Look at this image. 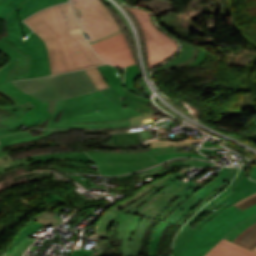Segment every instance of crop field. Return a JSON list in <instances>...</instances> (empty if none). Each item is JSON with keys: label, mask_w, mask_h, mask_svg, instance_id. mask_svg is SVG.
<instances>
[{"label": "crop field", "mask_w": 256, "mask_h": 256, "mask_svg": "<svg viewBox=\"0 0 256 256\" xmlns=\"http://www.w3.org/2000/svg\"><path fill=\"white\" fill-rule=\"evenodd\" d=\"M24 21L46 42L52 74L105 64L83 37L69 2L41 10Z\"/></svg>", "instance_id": "obj_1"}, {"label": "crop field", "mask_w": 256, "mask_h": 256, "mask_svg": "<svg viewBox=\"0 0 256 256\" xmlns=\"http://www.w3.org/2000/svg\"><path fill=\"white\" fill-rule=\"evenodd\" d=\"M238 168H222L200 184L176 177L131 210V214L183 226L186 221L233 180Z\"/></svg>", "instance_id": "obj_2"}, {"label": "crop field", "mask_w": 256, "mask_h": 256, "mask_svg": "<svg viewBox=\"0 0 256 256\" xmlns=\"http://www.w3.org/2000/svg\"><path fill=\"white\" fill-rule=\"evenodd\" d=\"M170 176L159 179L139 189L135 195L105 211L96 224V233H98V236L93 235L97 239H100L97 249L95 248L97 252L94 253L93 250L83 249L86 239L84 237L80 250H74L72 256H102L103 248L111 249V239L122 240V256H139L144 232L154 220L119 211L170 178Z\"/></svg>", "instance_id": "obj_3"}, {"label": "crop field", "mask_w": 256, "mask_h": 256, "mask_svg": "<svg viewBox=\"0 0 256 256\" xmlns=\"http://www.w3.org/2000/svg\"><path fill=\"white\" fill-rule=\"evenodd\" d=\"M65 1L68 0H27L13 10L5 19L7 21L6 30L8 36L1 37L0 39L10 42L24 54L30 55L31 66L28 78L49 75L51 74V69L44 41L35 32L26 35V39L21 37V35L32 32L22 20L42 8Z\"/></svg>", "instance_id": "obj_4"}, {"label": "crop field", "mask_w": 256, "mask_h": 256, "mask_svg": "<svg viewBox=\"0 0 256 256\" xmlns=\"http://www.w3.org/2000/svg\"><path fill=\"white\" fill-rule=\"evenodd\" d=\"M0 94L10 99L13 107H0V134L15 132V128L35 126L49 119L47 128H55V118L63 110L65 100H59L52 113L43 103L15 87L11 82L0 84Z\"/></svg>", "instance_id": "obj_5"}, {"label": "crop field", "mask_w": 256, "mask_h": 256, "mask_svg": "<svg viewBox=\"0 0 256 256\" xmlns=\"http://www.w3.org/2000/svg\"><path fill=\"white\" fill-rule=\"evenodd\" d=\"M140 114L144 113L118 105L98 91L67 99L62 115L55 127L68 128L70 122L121 120Z\"/></svg>", "instance_id": "obj_6"}, {"label": "crop field", "mask_w": 256, "mask_h": 256, "mask_svg": "<svg viewBox=\"0 0 256 256\" xmlns=\"http://www.w3.org/2000/svg\"><path fill=\"white\" fill-rule=\"evenodd\" d=\"M31 96L46 102L98 91L85 69L45 78L12 82Z\"/></svg>", "instance_id": "obj_7"}, {"label": "crop field", "mask_w": 256, "mask_h": 256, "mask_svg": "<svg viewBox=\"0 0 256 256\" xmlns=\"http://www.w3.org/2000/svg\"><path fill=\"white\" fill-rule=\"evenodd\" d=\"M256 214V205L239 211L234 206L212 218L189 242L185 256H205L233 227Z\"/></svg>", "instance_id": "obj_8"}, {"label": "crop field", "mask_w": 256, "mask_h": 256, "mask_svg": "<svg viewBox=\"0 0 256 256\" xmlns=\"http://www.w3.org/2000/svg\"><path fill=\"white\" fill-rule=\"evenodd\" d=\"M96 162L101 175H120L156 164L152 155L173 152V147L137 152L85 151Z\"/></svg>", "instance_id": "obj_9"}, {"label": "crop field", "mask_w": 256, "mask_h": 256, "mask_svg": "<svg viewBox=\"0 0 256 256\" xmlns=\"http://www.w3.org/2000/svg\"><path fill=\"white\" fill-rule=\"evenodd\" d=\"M70 1L89 43L121 30L100 0Z\"/></svg>", "instance_id": "obj_10"}, {"label": "crop field", "mask_w": 256, "mask_h": 256, "mask_svg": "<svg viewBox=\"0 0 256 256\" xmlns=\"http://www.w3.org/2000/svg\"><path fill=\"white\" fill-rule=\"evenodd\" d=\"M126 8L134 14L144 32L150 69L176 54L178 45L153 25L149 13L136 8Z\"/></svg>", "instance_id": "obj_11"}, {"label": "crop field", "mask_w": 256, "mask_h": 256, "mask_svg": "<svg viewBox=\"0 0 256 256\" xmlns=\"http://www.w3.org/2000/svg\"><path fill=\"white\" fill-rule=\"evenodd\" d=\"M90 45L101 58L114 66L125 67L135 63L122 31Z\"/></svg>", "instance_id": "obj_12"}, {"label": "crop field", "mask_w": 256, "mask_h": 256, "mask_svg": "<svg viewBox=\"0 0 256 256\" xmlns=\"http://www.w3.org/2000/svg\"><path fill=\"white\" fill-rule=\"evenodd\" d=\"M0 50L11 57V64L0 70V83L27 78L30 59L10 43L0 40Z\"/></svg>", "instance_id": "obj_13"}, {"label": "crop field", "mask_w": 256, "mask_h": 256, "mask_svg": "<svg viewBox=\"0 0 256 256\" xmlns=\"http://www.w3.org/2000/svg\"><path fill=\"white\" fill-rule=\"evenodd\" d=\"M100 73L102 74L103 78L106 80V82L109 84L110 88L101 90L102 93H104L108 98H110L112 101L121 104L123 106L129 107V105L119 99H117L118 96L121 97H137L134 94L127 91L124 87L123 80L120 78L116 68L114 66L105 65V66H99L97 67ZM139 98V97H137ZM143 99V98H141ZM147 100V99H144ZM149 101V100H148ZM130 108V107H129Z\"/></svg>", "instance_id": "obj_14"}, {"label": "crop field", "mask_w": 256, "mask_h": 256, "mask_svg": "<svg viewBox=\"0 0 256 256\" xmlns=\"http://www.w3.org/2000/svg\"><path fill=\"white\" fill-rule=\"evenodd\" d=\"M256 192V182L248 179L244 182L239 188H237L233 193L228 195L223 200L219 201L216 205H214L208 212L212 213L208 217L204 218L195 228H202L212 217L217 215L219 212L230 206L231 204H235L246 196L253 194ZM216 209V211H213Z\"/></svg>", "instance_id": "obj_15"}, {"label": "crop field", "mask_w": 256, "mask_h": 256, "mask_svg": "<svg viewBox=\"0 0 256 256\" xmlns=\"http://www.w3.org/2000/svg\"><path fill=\"white\" fill-rule=\"evenodd\" d=\"M225 239L252 250L256 246V215L235 227Z\"/></svg>", "instance_id": "obj_16"}, {"label": "crop field", "mask_w": 256, "mask_h": 256, "mask_svg": "<svg viewBox=\"0 0 256 256\" xmlns=\"http://www.w3.org/2000/svg\"><path fill=\"white\" fill-rule=\"evenodd\" d=\"M206 256H256V253L222 239Z\"/></svg>", "instance_id": "obj_17"}, {"label": "crop field", "mask_w": 256, "mask_h": 256, "mask_svg": "<svg viewBox=\"0 0 256 256\" xmlns=\"http://www.w3.org/2000/svg\"><path fill=\"white\" fill-rule=\"evenodd\" d=\"M56 160H60V159H56ZM62 160H66V159H62ZM86 164L95 165L93 163L67 160V161L55 162L54 165H52L48 168L58 169L62 172L96 173V174H99L98 170L85 168Z\"/></svg>", "instance_id": "obj_18"}, {"label": "crop field", "mask_w": 256, "mask_h": 256, "mask_svg": "<svg viewBox=\"0 0 256 256\" xmlns=\"http://www.w3.org/2000/svg\"><path fill=\"white\" fill-rule=\"evenodd\" d=\"M196 230L186 226L182 228L175 240L172 256H184L185 248Z\"/></svg>", "instance_id": "obj_19"}, {"label": "crop field", "mask_w": 256, "mask_h": 256, "mask_svg": "<svg viewBox=\"0 0 256 256\" xmlns=\"http://www.w3.org/2000/svg\"><path fill=\"white\" fill-rule=\"evenodd\" d=\"M54 158H66L78 161H88L93 162L85 153L79 152H63V153H55V154H44L39 156L31 157L33 163L40 161H48Z\"/></svg>", "instance_id": "obj_20"}, {"label": "crop field", "mask_w": 256, "mask_h": 256, "mask_svg": "<svg viewBox=\"0 0 256 256\" xmlns=\"http://www.w3.org/2000/svg\"><path fill=\"white\" fill-rule=\"evenodd\" d=\"M131 126L128 119L121 121H111L106 123H71L69 128L80 129H106Z\"/></svg>", "instance_id": "obj_21"}, {"label": "crop field", "mask_w": 256, "mask_h": 256, "mask_svg": "<svg viewBox=\"0 0 256 256\" xmlns=\"http://www.w3.org/2000/svg\"><path fill=\"white\" fill-rule=\"evenodd\" d=\"M243 170L239 169V173L234 180V182L224 191L222 192L219 196L216 198L212 199L205 207H203L198 213H196L186 224V226H189L193 221H195L201 214H203L205 211H207L209 208H211L214 204H216L219 200L223 199L226 197L228 194H230L233 190H231L241 179L243 175Z\"/></svg>", "instance_id": "obj_22"}, {"label": "crop field", "mask_w": 256, "mask_h": 256, "mask_svg": "<svg viewBox=\"0 0 256 256\" xmlns=\"http://www.w3.org/2000/svg\"><path fill=\"white\" fill-rule=\"evenodd\" d=\"M33 164L30 157L12 161L7 151L0 153V174L18 166Z\"/></svg>", "instance_id": "obj_23"}, {"label": "crop field", "mask_w": 256, "mask_h": 256, "mask_svg": "<svg viewBox=\"0 0 256 256\" xmlns=\"http://www.w3.org/2000/svg\"><path fill=\"white\" fill-rule=\"evenodd\" d=\"M44 225L40 224L39 222L35 221V220H31L26 227L17 235V237L13 240V242L11 243V245L9 246V248L7 249V253L12 254L16 244L25 236H30L34 233H36L38 231V229L40 227H42Z\"/></svg>", "instance_id": "obj_24"}, {"label": "crop field", "mask_w": 256, "mask_h": 256, "mask_svg": "<svg viewBox=\"0 0 256 256\" xmlns=\"http://www.w3.org/2000/svg\"><path fill=\"white\" fill-rule=\"evenodd\" d=\"M168 224L169 223H166V222H160L158 227L155 229L151 238V242L148 250V256H159L156 254L158 243H159L162 232L164 231V229L167 227Z\"/></svg>", "instance_id": "obj_25"}, {"label": "crop field", "mask_w": 256, "mask_h": 256, "mask_svg": "<svg viewBox=\"0 0 256 256\" xmlns=\"http://www.w3.org/2000/svg\"><path fill=\"white\" fill-rule=\"evenodd\" d=\"M195 165V167L209 166L208 162L201 160H193V159H180L175 161H170L168 163L163 164L164 168H174L177 166H191Z\"/></svg>", "instance_id": "obj_26"}, {"label": "crop field", "mask_w": 256, "mask_h": 256, "mask_svg": "<svg viewBox=\"0 0 256 256\" xmlns=\"http://www.w3.org/2000/svg\"><path fill=\"white\" fill-rule=\"evenodd\" d=\"M126 68V75H125V85L133 92L139 94L133 85L134 80L140 75L139 70L136 64L125 67ZM141 95V94H140Z\"/></svg>", "instance_id": "obj_27"}, {"label": "crop field", "mask_w": 256, "mask_h": 256, "mask_svg": "<svg viewBox=\"0 0 256 256\" xmlns=\"http://www.w3.org/2000/svg\"><path fill=\"white\" fill-rule=\"evenodd\" d=\"M25 0H3L0 3V18L5 19L9 13Z\"/></svg>", "instance_id": "obj_28"}, {"label": "crop field", "mask_w": 256, "mask_h": 256, "mask_svg": "<svg viewBox=\"0 0 256 256\" xmlns=\"http://www.w3.org/2000/svg\"><path fill=\"white\" fill-rule=\"evenodd\" d=\"M86 71L88 72L96 86L99 88V90L109 87L105 80L102 78V74L100 75L96 67L88 68L86 69Z\"/></svg>", "instance_id": "obj_29"}, {"label": "crop field", "mask_w": 256, "mask_h": 256, "mask_svg": "<svg viewBox=\"0 0 256 256\" xmlns=\"http://www.w3.org/2000/svg\"><path fill=\"white\" fill-rule=\"evenodd\" d=\"M62 132H69V130H42L43 135L30 137V138L17 139V140H13V141H9V142L0 144V152L2 151V147L6 146V145L23 142V141H28V140H32V139H37V138H42V137H48L54 133H62Z\"/></svg>", "instance_id": "obj_30"}, {"label": "crop field", "mask_w": 256, "mask_h": 256, "mask_svg": "<svg viewBox=\"0 0 256 256\" xmlns=\"http://www.w3.org/2000/svg\"><path fill=\"white\" fill-rule=\"evenodd\" d=\"M183 44V51H182V54L180 56H178L176 59H174L173 61H171L169 64H166L164 67H162L161 69L167 67V66H171L173 64H176V63H180L184 60H187L191 57V52H192V46L190 45H187L185 43H182ZM160 70V69H159ZM158 71V70H156ZM155 71V72H156Z\"/></svg>", "instance_id": "obj_31"}, {"label": "crop field", "mask_w": 256, "mask_h": 256, "mask_svg": "<svg viewBox=\"0 0 256 256\" xmlns=\"http://www.w3.org/2000/svg\"><path fill=\"white\" fill-rule=\"evenodd\" d=\"M179 156H196V157H199V158L207 159V158L201 156L200 154L185 153V152L156 155V156H154V158H155L156 162L158 163V162L165 161V160L171 159L173 157H179Z\"/></svg>", "instance_id": "obj_32"}, {"label": "crop field", "mask_w": 256, "mask_h": 256, "mask_svg": "<svg viewBox=\"0 0 256 256\" xmlns=\"http://www.w3.org/2000/svg\"><path fill=\"white\" fill-rule=\"evenodd\" d=\"M33 241L34 240L26 237L17 244L12 255L6 253V255L3 254V256H21Z\"/></svg>", "instance_id": "obj_33"}, {"label": "crop field", "mask_w": 256, "mask_h": 256, "mask_svg": "<svg viewBox=\"0 0 256 256\" xmlns=\"http://www.w3.org/2000/svg\"><path fill=\"white\" fill-rule=\"evenodd\" d=\"M55 213H42L38 216H36L34 219L39 221L40 223L44 224L45 226L48 225V224H52L53 226H55V224H59L58 223V220L53 218L52 216L54 215Z\"/></svg>", "instance_id": "obj_34"}, {"label": "crop field", "mask_w": 256, "mask_h": 256, "mask_svg": "<svg viewBox=\"0 0 256 256\" xmlns=\"http://www.w3.org/2000/svg\"><path fill=\"white\" fill-rule=\"evenodd\" d=\"M256 204V193L243 199L242 201L238 202L236 206L238 209H240L241 211Z\"/></svg>", "instance_id": "obj_35"}, {"label": "crop field", "mask_w": 256, "mask_h": 256, "mask_svg": "<svg viewBox=\"0 0 256 256\" xmlns=\"http://www.w3.org/2000/svg\"><path fill=\"white\" fill-rule=\"evenodd\" d=\"M177 175H173L170 179H168L167 181H165L164 183H162L161 185H159L158 187L152 189L151 191H149L148 193H146L144 196H142L141 198H139L138 200H136L135 202H133L131 205H129L128 207H126L125 209L121 210L122 212H126L129 213L131 208L134 207L135 205H137L138 203H140L142 200H144L145 198H147L149 195H151L156 189H158L159 187H161L162 185H164L165 183H167L168 181H170L171 179H173L174 177H176Z\"/></svg>", "instance_id": "obj_36"}, {"label": "crop field", "mask_w": 256, "mask_h": 256, "mask_svg": "<svg viewBox=\"0 0 256 256\" xmlns=\"http://www.w3.org/2000/svg\"><path fill=\"white\" fill-rule=\"evenodd\" d=\"M206 51H204L202 48H199V55L198 57H196V59L191 62V63H188L184 66H193V67H196V66H199L201 63H203L205 57H206Z\"/></svg>", "instance_id": "obj_37"}, {"label": "crop field", "mask_w": 256, "mask_h": 256, "mask_svg": "<svg viewBox=\"0 0 256 256\" xmlns=\"http://www.w3.org/2000/svg\"><path fill=\"white\" fill-rule=\"evenodd\" d=\"M32 136V134L30 133V131L27 132H23V133H19V134H15V135H10V136H6V137H2L0 138V142H5V141H9V140H13V139H17V138H22V137H30Z\"/></svg>", "instance_id": "obj_38"}, {"label": "crop field", "mask_w": 256, "mask_h": 256, "mask_svg": "<svg viewBox=\"0 0 256 256\" xmlns=\"http://www.w3.org/2000/svg\"><path fill=\"white\" fill-rule=\"evenodd\" d=\"M148 118H152V116H148V115L144 114V115H140V116H136V117H131V118H129V121H130L131 125L134 126V125L143 123L142 121L144 119H148Z\"/></svg>", "instance_id": "obj_39"}, {"label": "crop field", "mask_w": 256, "mask_h": 256, "mask_svg": "<svg viewBox=\"0 0 256 256\" xmlns=\"http://www.w3.org/2000/svg\"><path fill=\"white\" fill-rule=\"evenodd\" d=\"M46 195H49V197L47 199H45V201L47 203H50V202L55 201V200H57V201L62 200V198L60 196H57V195H52V194H46Z\"/></svg>", "instance_id": "obj_40"}, {"label": "crop field", "mask_w": 256, "mask_h": 256, "mask_svg": "<svg viewBox=\"0 0 256 256\" xmlns=\"http://www.w3.org/2000/svg\"><path fill=\"white\" fill-rule=\"evenodd\" d=\"M190 61H192V59H189V60H187V61H185V62H183V63H180V64L173 65V66H171V67L165 68V70L179 67V66L184 65L185 63H188V62H190Z\"/></svg>", "instance_id": "obj_41"}, {"label": "crop field", "mask_w": 256, "mask_h": 256, "mask_svg": "<svg viewBox=\"0 0 256 256\" xmlns=\"http://www.w3.org/2000/svg\"><path fill=\"white\" fill-rule=\"evenodd\" d=\"M251 179L256 180V165H253Z\"/></svg>", "instance_id": "obj_42"}, {"label": "crop field", "mask_w": 256, "mask_h": 256, "mask_svg": "<svg viewBox=\"0 0 256 256\" xmlns=\"http://www.w3.org/2000/svg\"><path fill=\"white\" fill-rule=\"evenodd\" d=\"M247 179H248L247 176L244 174V176L241 179V181L233 188V190H235L238 186H240Z\"/></svg>", "instance_id": "obj_43"}, {"label": "crop field", "mask_w": 256, "mask_h": 256, "mask_svg": "<svg viewBox=\"0 0 256 256\" xmlns=\"http://www.w3.org/2000/svg\"><path fill=\"white\" fill-rule=\"evenodd\" d=\"M253 251H255V252H256V247L253 249Z\"/></svg>", "instance_id": "obj_44"}, {"label": "crop field", "mask_w": 256, "mask_h": 256, "mask_svg": "<svg viewBox=\"0 0 256 256\" xmlns=\"http://www.w3.org/2000/svg\"><path fill=\"white\" fill-rule=\"evenodd\" d=\"M2 0H0V2H1Z\"/></svg>", "instance_id": "obj_45"}, {"label": "crop field", "mask_w": 256, "mask_h": 256, "mask_svg": "<svg viewBox=\"0 0 256 256\" xmlns=\"http://www.w3.org/2000/svg\"><path fill=\"white\" fill-rule=\"evenodd\" d=\"M0 209H2V208H0Z\"/></svg>", "instance_id": "obj_46"}]
</instances>
